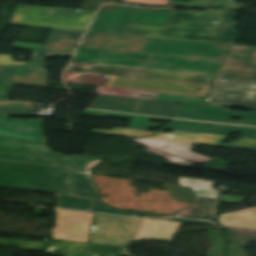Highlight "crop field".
Returning a JSON list of instances; mask_svg holds the SVG:
<instances>
[{"instance_id": "1", "label": "crop field", "mask_w": 256, "mask_h": 256, "mask_svg": "<svg viewBox=\"0 0 256 256\" xmlns=\"http://www.w3.org/2000/svg\"><path fill=\"white\" fill-rule=\"evenodd\" d=\"M254 50L231 46L203 104L256 107V64H251Z\"/></svg>"}, {"instance_id": "2", "label": "crop field", "mask_w": 256, "mask_h": 256, "mask_svg": "<svg viewBox=\"0 0 256 256\" xmlns=\"http://www.w3.org/2000/svg\"><path fill=\"white\" fill-rule=\"evenodd\" d=\"M224 11L173 13L166 28L130 25L126 35L212 43ZM211 21H216L211 24Z\"/></svg>"}, {"instance_id": "3", "label": "crop field", "mask_w": 256, "mask_h": 256, "mask_svg": "<svg viewBox=\"0 0 256 256\" xmlns=\"http://www.w3.org/2000/svg\"><path fill=\"white\" fill-rule=\"evenodd\" d=\"M71 172L62 167L0 160V187L72 195Z\"/></svg>"}, {"instance_id": "4", "label": "crop field", "mask_w": 256, "mask_h": 256, "mask_svg": "<svg viewBox=\"0 0 256 256\" xmlns=\"http://www.w3.org/2000/svg\"><path fill=\"white\" fill-rule=\"evenodd\" d=\"M95 12L19 5L10 24L85 31Z\"/></svg>"}, {"instance_id": "5", "label": "crop field", "mask_w": 256, "mask_h": 256, "mask_svg": "<svg viewBox=\"0 0 256 256\" xmlns=\"http://www.w3.org/2000/svg\"><path fill=\"white\" fill-rule=\"evenodd\" d=\"M0 245L52 252L59 256H121L122 247L51 239L46 243L0 239Z\"/></svg>"}, {"instance_id": "6", "label": "crop field", "mask_w": 256, "mask_h": 256, "mask_svg": "<svg viewBox=\"0 0 256 256\" xmlns=\"http://www.w3.org/2000/svg\"><path fill=\"white\" fill-rule=\"evenodd\" d=\"M228 46L147 38L141 52L222 61Z\"/></svg>"}, {"instance_id": "7", "label": "crop field", "mask_w": 256, "mask_h": 256, "mask_svg": "<svg viewBox=\"0 0 256 256\" xmlns=\"http://www.w3.org/2000/svg\"><path fill=\"white\" fill-rule=\"evenodd\" d=\"M142 221L98 214L90 242L129 247Z\"/></svg>"}, {"instance_id": "8", "label": "crop field", "mask_w": 256, "mask_h": 256, "mask_svg": "<svg viewBox=\"0 0 256 256\" xmlns=\"http://www.w3.org/2000/svg\"><path fill=\"white\" fill-rule=\"evenodd\" d=\"M177 106L172 102L98 95L90 108L171 117Z\"/></svg>"}, {"instance_id": "9", "label": "crop field", "mask_w": 256, "mask_h": 256, "mask_svg": "<svg viewBox=\"0 0 256 256\" xmlns=\"http://www.w3.org/2000/svg\"><path fill=\"white\" fill-rule=\"evenodd\" d=\"M105 86L182 94L199 97L204 96L206 89L208 87L204 85L164 82L115 76H110Z\"/></svg>"}, {"instance_id": "10", "label": "crop field", "mask_w": 256, "mask_h": 256, "mask_svg": "<svg viewBox=\"0 0 256 256\" xmlns=\"http://www.w3.org/2000/svg\"><path fill=\"white\" fill-rule=\"evenodd\" d=\"M90 71L91 73L105 74V75L155 79V80L204 84V85H209L213 79V77L211 76L172 73V72H163V71H156V70H140V69H132V68H124V67L107 66V65L92 66Z\"/></svg>"}, {"instance_id": "11", "label": "crop field", "mask_w": 256, "mask_h": 256, "mask_svg": "<svg viewBox=\"0 0 256 256\" xmlns=\"http://www.w3.org/2000/svg\"><path fill=\"white\" fill-rule=\"evenodd\" d=\"M53 238L87 242L94 215L84 212L56 210Z\"/></svg>"}, {"instance_id": "12", "label": "crop field", "mask_w": 256, "mask_h": 256, "mask_svg": "<svg viewBox=\"0 0 256 256\" xmlns=\"http://www.w3.org/2000/svg\"><path fill=\"white\" fill-rule=\"evenodd\" d=\"M175 117L256 126V112H253V113L232 112L230 110L224 109L222 107H216V106L181 103ZM231 117H235V118L248 117L250 118V121L249 122L233 121L230 119Z\"/></svg>"}, {"instance_id": "13", "label": "crop field", "mask_w": 256, "mask_h": 256, "mask_svg": "<svg viewBox=\"0 0 256 256\" xmlns=\"http://www.w3.org/2000/svg\"><path fill=\"white\" fill-rule=\"evenodd\" d=\"M226 138L228 137L173 131L172 134L158 133L157 136L147 137L144 139L172 141V142H181V143L214 146V147H224V148L256 151V148H251V146H256V140L238 138L236 142H230L229 144H222Z\"/></svg>"}, {"instance_id": "14", "label": "crop field", "mask_w": 256, "mask_h": 256, "mask_svg": "<svg viewBox=\"0 0 256 256\" xmlns=\"http://www.w3.org/2000/svg\"><path fill=\"white\" fill-rule=\"evenodd\" d=\"M148 56L149 54L145 53L113 52L78 48L72 61L140 67Z\"/></svg>"}, {"instance_id": "15", "label": "crop field", "mask_w": 256, "mask_h": 256, "mask_svg": "<svg viewBox=\"0 0 256 256\" xmlns=\"http://www.w3.org/2000/svg\"><path fill=\"white\" fill-rule=\"evenodd\" d=\"M220 61L153 55L145 67L213 75ZM205 69L204 71L197 70Z\"/></svg>"}, {"instance_id": "16", "label": "crop field", "mask_w": 256, "mask_h": 256, "mask_svg": "<svg viewBox=\"0 0 256 256\" xmlns=\"http://www.w3.org/2000/svg\"><path fill=\"white\" fill-rule=\"evenodd\" d=\"M164 130H180L197 133L229 136L231 133H242L243 138L256 139V128H245L228 125L172 120L159 132Z\"/></svg>"}, {"instance_id": "17", "label": "crop field", "mask_w": 256, "mask_h": 256, "mask_svg": "<svg viewBox=\"0 0 256 256\" xmlns=\"http://www.w3.org/2000/svg\"><path fill=\"white\" fill-rule=\"evenodd\" d=\"M42 120H17L0 115V136L16 137L24 142H44Z\"/></svg>"}, {"instance_id": "18", "label": "crop field", "mask_w": 256, "mask_h": 256, "mask_svg": "<svg viewBox=\"0 0 256 256\" xmlns=\"http://www.w3.org/2000/svg\"><path fill=\"white\" fill-rule=\"evenodd\" d=\"M135 141L150 147L146 151H149L151 153H154V154H157V155H160V156H164V157H166L165 158L166 160H170L169 163L176 164V165L186 167V168H188L189 165H192L195 162L179 159V158H176V157H173V156H169V155H166V154H163V153H160V152L153 151L151 149L155 148V149L160 150L162 148L163 149L162 151L172 153V154L182 156V157L192 159V160L202 162V163L211 159V158H208V157H204V156L189 152L192 149V146H193V145H190V144L162 142V141H153V140H144V139H136ZM185 152H187L188 154H185Z\"/></svg>"}, {"instance_id": "19", "label": "crop field", "mask_w": 256, "mask_h": 256, "mask_svg": "<svg viewBox=\"0 0 256 256\" xmlns=\"http://www.w3.org/2000/svg\"><path fill=\"white\" fill-rule=\"evenodd\" d=\"M146 38L95 33L87 48L140 52Z\"/></svg>"}, {"instance_id": "20", "label": "crop field", "mask_w": 256, "mask_h": 256, "mask_svg": "<svg viewBox=\"0 0 256 256\" xmlns=\"http://www.w3.org/2000/svg\"><path fill=\"white\" fill-rule=\"evenodd\" d=\"M71 183L75 196L95 199L92 211L136 216L133 212L118 210L101 202L89 175L75 174Z\"/></svg>"}, {"instance_id": "21", "label": "crop field", "mask_w": 256, "mask_h": 256, "mask_svg": "<svg viewBox=\"0 0 256 256\" xmlns=\"http://www.w3.org/2000/svg\"><path fill=\"white\" fill-rule=\"evenodd\" d=\"M181 223L145 219L133 241L159 239L172 241Z\"/></svg>"}, {"instance_id": "22", "label": "crop field", "mask_w": 256, "mask_h": 256, "mask_svg": "<svg viewBox=\"0 0 256 256\" xmlns=\"http://www.w3.org/2000/svg\"><path fill=\"white\" fill-rule=\"evenodd\" d=\"M132 17V14L98 11L88 31L125 34Z\"/></svg>"}, {"instance_id": "23", "label": "crop field", "mask_w": 256, "mask_h": 256, "mask_svg": "<svg viewBox=\"0 0 256 256\" xmlns=\"http://www.w3.org/2000/svg\"><path fill=\"white\" fill-rule=\"evenodd\" d=\"M49 71L11 67L3 83L46 88Z\"/></svg>"}, {"instance_id": "24", "label": "crop field", "mask_w": 256, "mask_h": 256, "mask_svg": "<svg viewBox=\"0 0 256 256\" xmlns=\"http://www.w3.org/2000/svg\"><path fill=\"white\" fill-rule=\"evenodd\" d=\"M38 156L59 163L75 173L90 174V167L95 160H104L99 158L79 157V156H64L53 154L54 152L32 150Z\"/></svg>"}, {"instance_id": "25", "label": "crop field", "mask_w": 256, "mask_h": 256, "mask_svg": "<svg viewBox=\"0 0 256 256\" xmlns=\"http://www.w3.org/2000/svg\"><path fill=\"white\" fill-rule=\"evenodd\" d=\"M96 93L103 94V95L132 97V98H138L140 94H147V95L158 96L156 100L186 102V103H195V104H200L203 100V98H199V97L154 93V92L110 88V87H98Z\"/></svg>"}, {"instance_id": "26", "label": "crop field", "mask_w": 256, "mask_h": 256, "mask_svg": "<svg viewBox=\"0 0 256 256\" xmlns=\"http://www.w3.org/2000/svg\"><path fill=\"white\" fill-rule=\"evenodd\" d=\"M117 12L135 14L131 24L165 27L171 11H143L138 8H117Z\"/></svg>"}, {"instance_id": "27", "label": "crop field", "mask_w": 256, "mask_h": 256, "mask_svg": "<svg viewBox=\"0 0 256 256\" xmlns=\"http://www.w3.org/2000/svg\"><path fill=\"white\" fill-rule=\"evenodd\" d=\"M84 115L131 120L128 128L142 129V130H148L150 128L160 129L164 126L162 124L149 123L152 119L170 120L167 118L124 115V114L107 113V112H99V111H91V110H86Z\"/></svg>"}, {"instance_id": "28", "label": "crop field", "mask_w": 256, "mask_h": 256, "mask_svg": "<svg viewBox=\"0 0 256 256\" xmlns=\"http://www.w3.org/2000/svg\"><path fill=\"white\" fill-rule=\"evenodd\" d=\"M123 2L131 3H145V4H160L168 5V3L179 6V7H188V8H200V9H209L211 8H223V9H232L239 3H229V2H217V1H206V0H190L189 3H180L172 2L168 0H122Z\"/></svg>"}, {"instance_id": "29", "label": "crop field", "mask_w": 256, "mask_h": 256, "mask_svg": "<svg viewBox=\"0 0 256 256\" xmlns=\"http://www.w3.org/2000/svg\"><path fill=\"white\" fill-rule=\"evenodd\" d=\"M218 220L223 226L256 229V208L244 209L243 212L230 216H219Z\"/></svg>"}, {"instance_id": "30", "label": "crop field", "mask_w": 256, "mask_h": 256, "mask_svg": "<svg viewBox=\"0 0 256 256\" xmlns=\"http://www.w3.org/2000/svg\"><path fill=\"white\" fill-rule=\"evenodd\" d=\"M0 159L1 160H10V161H19V162H28V163H37L45 165H54L49 162L42 160L36 155L30 153L25 149L20 148H10V147H1L0 146ZM56 166V165H54Z\"/></svg>"}, {"instance_id": "31", "label": "crop field", "mask_w": 256, "mask_h": 256, "mask_svg": "<svg viewBox=\"0 0 256 256\" xmlns=\"http://www.w3.org/2000/svg\"><path fill=\"white\" fill-rule=\"evenodd\" d=\"M76 48L45 45L39 58H31L26 66L45 68L44 58L72 57Z\"/></svg>"}, {"instance_id": "32", "label": "crop field", "mask_w": 256, "mask_h": 256, "mask_svg": "<svg viewBox=\"0 0 256 256\" xmlns=\"http://www.w3.org/2000/svg\"><path fill=\"white\" fill-rule=\"evenodd\" d=\"M84 32L53 29L46 44L77 47Z\"/></svg>"}, {"instance_id": "33", "label": "crop field", "mask_w": 256, "mask_h": 256, "mask_svg": "<svg viewBox=\"0 0 256 256\" xmlns=\"http://www.w3.org/2000/svg\"><path fill=\"white\" fill-rule=\"evenodd\" d=\"M178 180L181 186H189L193 188L198 197L204 196L219 200V191L213 188V181H204L185 177L178 178Z\"/></svg>"}, {"instance_id": "34", "label": "crop field", "mask_w": 256, "mask_h": 256, "mask_svg": "<svg viewBox=\"0 0 256 256\" xmlns=\"http://www.w3.org/2000/svg\"><path fill=\"white\" fill-rule=\"evenodd\" d=\"M234 18L235 13L227 12L225 24L215 43L235 44L239 32L236 31L238 23L234 22Z\"/></svg>"}, {"instance_id": "35", "label": "crop field", "mask_w": 256, "mask_h": 256, "mask_svg": "<svg viewBox=\"0 0 256 256\" xmlns=\"http://www.w3.org/2000/svg\"><path fill=\"white\" fill-rule=\"evenodd\" d=\"M57 200L58 206L62 208L78 209V210H90L92 199L73 197L67 195L54 194Z\"/></svg>"}, {"instance_id": "36", "label": "crop field", "mask_w": 256, "mask_h": 256, "mask_svg": "<svg viewBox=\"0 0 256 256\" xmlns=\"http://www.w3.org/2000/svg\"><path fill=\"white\" fill-rule=\"evenodd\" d=\"M33 104L29 103H4L0 104V114L27 116L28 110L32 109Z\"/></svg>"}, {"instance_id": "37", "label": "crop field", "mask_w": 256, "mask_h": 256, "mask_svg": "<svg viewBox=\"0 0 256 256\" xmlns=\"http://www.w3.org/2000/svg\"><path fill=\"white\" fill-rule=\"evenodd\" d=\"M91 132L104 133V134H113V135H123V136H132V137H139V136L154 134V132H149V131L124 129V128H118V127H114L112 131L92 129Z\"/></svg>"}, {"instance_id": "38", "label": "crop field", "mask_w": 256, "mask_h": 256, "mask_svg": "<svg viewBox=\"0 0 256 256\" xmlns=\"http://www.w3.org/2000/svg\"><path fill=\"white\" fill-rule=\"evenodd\" d=\"M21 142L13 139V138H0V145L1 146H10V147H20ZM23 146L27 147V148H33V149H41V150H49L44 144H27V143H23Z\"/></svg>"}, {"instance_id": "39", "label": "crop field", "mask_w": 256, "mask_h": 256, "mask_svg": "<svg viewBox=\"0 0 256 256\" xmlns=\"http://www.w3.org/2000/svg\"><path fill=\"white\" fill-rule=\"evenodd\" d=\"M44 45L14 41L12 47L34 50L31 57H39Z\"/></svg>"}, {"instance_id": "40", "label": "crop field", "mask_w": 256, "mask_h": 256, "mask_svg": "<svg viewBox=\"0 0 256 256\" xmlns=\"http://www.w3.org/2000/svg\"><path fill=\"white\" fill-rule=\"evenodd\" d=\"M14 85L0 84V99L8 100Z\"/></svg>"}, {"instance_id": "41", "label": "crop field", "mask_w": 256, "mask_h": 256, "mask_svg": "<svg viewBox=\"0 0 256 256\" xmlns=\"http://www.w3.org/2000/svg\"><path fill=\"white\" fill-rule=\"evenodd\" d=\"M27 62L12 61L9 55L0 54V64L25 66Z\"/></svg>"}, {"instance_id": "42", "label": "crop field", "mask_w": 256, "mask_h": 256, "mask_svg": "<svg viewBox=\"0 0 256 256\" xmlns=\"http://www.w3.org/2000/svg\"><path fill=\"white\" fill-rule=\"evenodd\" d=\"M222 201L242 203L244 197L221 195Z\"/></svg>"}, {"instance_id": "43", "label": "crop field", "mask_w": 256, "mask_h": 256, "mask_svg": "<svg viewBox=\"0 0 256 256\" xmlns=\"http://www.w3.org/2000/svg\"><path fill=\"white\" fill-rule=\"evenodd\" d=\"M93 34H94V33L87 32V34H86V36H85V38H84V40H83L81 46L86 47L87 44H88V42H89L90 39L92 38Z\"/></svg>"}, {"instance_id": "44", "label": "crop field", "mask_w": 256, "mask_h": 256, "mask_svg": "<svg viewBox=\"0 0 256 256\" xmlns=\"http://www.w3.org/2000/svg\"><path fill=\"white\" fill-rule=\"evenodd\" d=\"M8 67L9 66H6V65H0V83H1V81H2V79L4 77V75H5Z\"/></svg>"}, {"instance_id": "45", "label": "crop field", "mask_w": 256, "mask_h": 256, "mask_svg": "<svg viewBox=\"0 0 256 256\" xmlns=\"http://www.w3.org/2000/svg\"><path fill=\"white\" fill-rule=\"evenodd\" d=\"M122 255L134 256V255H132V254L129 252L128 248H126V247L123 248Z\"/></svg>"}, {"instance_id": "46", "label": "crop field", "mask_w": 256, "mask_h": 256, "mask_svg": "<svg viewBox=\"0 0 256 256\" xmlns=\"http://www.w3.org/2000/svg\"><path fill=\"white\" fill-rule=\"evenodd\" d=\"M242 211V210H241ZM239 211V212H241ZM234 213H237V212H233V213H223V214H220V215H230V214H234Z\"/></svg>"}, {"instance_id": "47", "label": "crop field", "mask_w": 256, "mask_h": 256, "mask_svg": "<svg viewBox=\"0 0 256 256\" xmlns=\"http://www.w3.org/2000/svg\"><path fill=\"white\" fill-rule=\"evenodd\" d=\"M139 98L152 99V100H155V99H156V97H155V96H153V98H146V97H139Z\"/></svg>"}, {"instance_id": "48", "label": "crop field", "mask_w": 256, "mask_h": 256, "mask_svg": "<svg viewBox=\"0 0 256 256\" xmlns=\"http://www.w3.org/2000/svg\"><path fill=\"white\" fill-rule=\"evenodd\" d=\"M217 1H229V2H234L235 0H217Z\"/></svg>"}, {"instance_id": "49", "label": "crop field", "mask_w": 256, "mask_h": 256, "mask_svg": "<svg viewBox=\"0 0 256 256\" xmlns=\"http://www.w3.org/2000/svg\"><path fill=\"white\" fill-rule=\"evenodd\" d=\"M98 162H99V161L94 162L92 166H94V165H95L96 163H98Z\"/></svg>"}, {"instance_id": "50", "label": "crop field", "mask_w": 256, "mask_h": 256, "mask_svg": "<svg viewBox=\"0 0 256 256\" xmlns=\"http://www.w3.org/2000/svg\"><path fill=\"white\" fill-rule=\"evenodd\" d=\"M0 102H4L3 100H0Z\"/></svg>"}]
</instances>
